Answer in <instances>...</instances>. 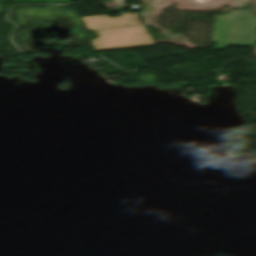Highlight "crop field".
Masks as SVG:
<instances>
[{
  "instance_id": "1",
  "label": "crop field",
  "mask_w": 256,
  "mask_h": 256,
  "mask_svg": "<svg viewBox=\"0 0 256 256\" xmlns=\"http://www.w3.org/2000/svg\"><path fill=\"white\" fill-rule=\"evenodd\" d=\"M256 31V16L245 9L233 10L218 15L215 19L212 42L215 49L228 45L253 46Z\"/></svg>"
},
{
  "instance_id": "2",
  "label": "crop field",
  "mask_w": 256,
  "mask_h": 256,
  "mask_svg": "<svg viewBox=\"0 0 256 256\" xmlns=\"http://www.w3.org/2000/svg\"><path fill=\"white\" fill-rule=\"evenodd\" d=\"M24 1H47V2H62V3L70 2V0H24Z\"/></svg>"
}]
</instances>
